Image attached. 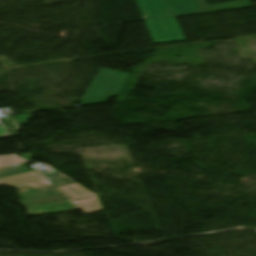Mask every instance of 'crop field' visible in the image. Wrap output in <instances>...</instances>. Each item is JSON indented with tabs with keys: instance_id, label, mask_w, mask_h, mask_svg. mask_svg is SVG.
I'll return each instance as SVG.
<instances>
[{
	"instance_id": "obj_5",
	"label": "crop field",
	"mask_w": 256,
	"mask_h": 256,
	"mask_svg": "<svg viewBox=\"0 0 256 256\" xmlns=\"http://www.w3.org/2000/svg\"><path fill=\"white\" fill-rule=\"evenodd\" d=\"M49 177L53 180L51 183L77 204L84 214L102 210L96 195L91 191L61 173L49 175Z\"/></svg>"
},
{
	"instance_id": "obj_9",
	"label": "crop field",
	"mask_w": 256,
	"mask_h": 256,
	"mask_svg": "<svg viewBox=\"0 0 256 256\" xmlns=\"http://www.w3.org/2000/svg\"><path fill=\"white\" fill-rule=\"evenodd\" d=\"M31 155H32V154H25V155H19V156H21L22 158H24V159L30 161V160H31Z\"/></svg>"
},
{
	"instance_id": "obj_6",
	"label": "crop field",
	"mask_w": 256,
	"mask_h": 256,
	"mask_svg": "<svg viewBox=\"0 0 256 256\" xmlns=\"http://www.w3.org/2000/svg\"><path fill=\"white\" fill-rule=\"evenodd\" d=\"M199 2L201 5L202 14L253 7L250 0H242L237 2L217 4L211 6H207L206 0H199Z\"/></svg>"
},
{
	"instance_id": "obj_4",
	"label": "crop field",
	"mask_w": 256,
	"mask_h": 256,
	"mask_svg": "<svg viewBox=\"0 0 256 256\" xmlns=\"http://www.w3.org/2000/svg\"><path fill=\"white\" fill-rule=\"evenodd\" d=\"M25 163L27 162L18 157H1L0 184L15 188L25 185L35 188L50 185L38 171L32 172L24 166Z\"/></svg>"
},
{
	"instance_id": "obj_7",
	"label": "crop field",
	"mask_w": 256,
	"mask_h": 256,
	"mask_svg": "<svg viewBox=\"0 0 256 256\" xmlns=\"http://www.w3.org/2000/svg\"><path fill=\"white\" fill-rule=\"evenodd\" d=\"M30 114L24 115V116H16V117H10L8 123L5 125V127L9 130V132L16 137V132L20 130V126L25 124L28 119L32 118Z\"/></svg>"
},
{
	"instance_id": "obj_1",
	"label": "crop field",
	"mask_w": 256,
	"mask_h": 256,
	"mask_svg": "<svg viewBox=\"0 0 256 256\" xmlns=\"http://www.w3.org/2000/svg\"><path fill=\"white\" fill-rule=\"evenodd\" d=\"M155 44L186 41L176 17L201 14L198 0H136Z\"/></svg>"
},
{
	"instance_id": "obj_2",
	"label": "crop field",
	"mask_w": 256,
	"mask_h": 256,
	"mask_svg": "<svg viewBox=\"0 0 256 256\" xmlns=\"http://www.w3.org/2000/svg\"><path fill=\"white\" fill-rule=\"evenodd\" d=\"M16 190L24 195L20 204L29 217L79 209L52 186L39 189L25 186Z\"/></svg>"
},
{
	"instance_id": "obj_3",
	"label": "crop field",
	"mask_w": 256,
	"mask_h": 256,
	"mask_svg": "<svg viewBox=\"0 0 256 256\" xmlns=\"http://www.w3.org/2000/svg\"><path fill=\"white\" fill-rule=\"evenodd\" d=\"M131 74L100 68L80 106L108 103L118 96Z\"/></svg>"
},
{
	"instance_id": "obj_8",
	"label": "crop field",
	"mask_w": 256,
	"mask_h": 256,
	"mask_svg": "<svg viewBox=\"0 0 256 256\" xmlns=\"http://www.w3.org/2000/svg\"><path fill=\"white\" fill-rule=\"evenodd\" d=\"M10 137L5 131L4 129L0 126V138H7Z\"/></svg>"
}]
</instances>
